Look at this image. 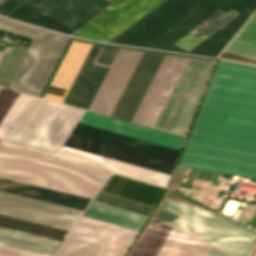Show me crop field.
<instances>
[{
  "mask_svg": "<svg viewBox=\"0 0 256 256\" xmlns=\"http://www.w3.org/2000/svg\"><path fill=\"white\" fill-rule=\"evenodd\" d=\"M71 134L100 141L145 155L153 156L170 162H176L179 150L123 136L87 125L79 124L74 127ZM69 134L64 146L72 147L82 151L90 152L100 156L108 157L118 161L126 162L136 166L144 167L154 171L171 174L174 163L145 156L100 142L92 141L82 137Z\"/></svg>",
  "mask_w": 256,
  "mask_h": 256,
  "instance_id": "6",
  "label": "crop field"
},
{
  "mask_svg": "<svg viewBox=\"0 0 256 256\" xmlns=\"http://www.w3.org/2000/svg\"><path fill=\"white\" fill-rule=\"evenodd\" d=\"M33 96L0 88V138L6 140Z\"/></svg>",
  "mask_w": 256,
  "mask_h": 256,
  "instance_id": "17",
  "label": "crop field"
},
{
  "mask_svg": "<svg viewBox=\"0 0 256 256\" xmlns=\"http://www.w3.org/2000/svg\"><path fill=\"white\" fill-rule=\"evenodd\" d=\"M55 256H124V253L67 237Z\"/></svg>",
  "mask_w": 256,
  "mask_h": 256,
  "instance_id": "20",
  "label": "crop field"
},
{
  "mask_svg": "<svg viewBox=\"0 0 256 256\" xmlns=\"http://www.w3.org/2000/svg\"><path fill=\"white\" fill-rule=\"evenodd\" d=\"M3 54H4V53L0 52V60H1L2 56H3Z\"/></svg>",
  "mask_w": 256,
  "mask_h": 256,
  "instance_id": "23",
  "label": "crop field"
},
{
  "mask_svg": "<svg viewBox=\"0 0 256 256\" xmlns=\"http://www.w3.org/2000/svg\"><path fill=\"white\" fill-rule=\"evenodd\" d=\"M57 155L73 158L77 161L100 167L110 172L126 175L155 185L166 187L169 175L89 154L62 146Z\"/></svg>",
  "mask_w": 256,
  "mask_h": 256,
  "instance_id": "14",
  "label": "crop field"
},
{
  "mask_svg": "<svg viewBox=\"0 0 256 256\" xmlns=\"http://www.w3.org/2000/svg\"><path fill=\"white\" fill-rule=\"evenodd\" d=\"M138 231L81 216L69 237L126 253Z\"/></svg>",
  "mask_w": 256,
  "mask_h": 256,
  "instance_id": "12",
  "label": "crop field"
},
{
  "mask_svg": "<svg viewBox=\"0 0 256 256\" xmlns=\"http://www.w3.org/2000/svg\"><path fill=\"white\" fill-rule=\"evenodd\" d=\"M108 172L2 142L0 177L93 198ZM81 196V197H82Z\"/></svg>",
  "mask_w": 256,
  "mask_h": 256,
  "instance_id": "4",
  "label": "crop field"
},
{
  "mask_svg": "<svg viewBox=\"0 0 256 256\" xmlns=\"http://www.w3.org/2000/svg\"><path fill=\"white\" fill-rule=\"evenodd\" d=\"M82 113L34 97L7 140L56 154Z\"/></svg>",
  "mask_w": 256,
  "mask_h": 256,
  "instance_id": "7",
  "label": "crop field"
},
{
  "mask_svg": "<svg viewBox=\"0 0 256 256\" xmlns=\"http://www.w3.org/2000/svg\"><path fill=\"white\" fill-rule=\"evenodd\" d=\"M106 186L104 187L103 192ZM163 191L164 188L114 174L105 193L154 207Z\"/></svg>",
  "mask_w": 256,
  "mask_h": 256,
  "instance_id": "16",
  "label": "crop field"
},
{
  "mask_svg": "<svg viewBox=\"0 0 256 256\" xmlns=\"http://www.w3.org/2000/svg\"><path fill=\"white\" fill-rule=\"evenodd\" d=\"M120 49L93 45L64 103L89 110ZM141 52L121 49L90 110L109 115ZM163 55L142 52L110 116L130 121Z\"/></svg>",
  "mask_w": 256,
  "mask_h": 256,
  "instance_id": "3",
  "label": "crop field"
},
{
  "mask_svg": "<svg viewBox=\"0 0 256 256\" xmlns=\"http://www.w3.org/2000/svg\"><path fill=\"white\" fill-rule=\"evenodd\" d=\"M0 191L84 210L90 198L0 178Z\"/></svg>",
  "mask_w": 256,
  "mask_h": 256,
  "instance_id": "15",
  "label": "crop field"
},
{
  "mask_svg": "<svg viewBox=\"0 0 256 256\" xmlns=\"http://www.w3.org/2000/svg\"><path fill=\"white\" fill-rule=\"evenodd\" d=\"M187 58L165 55L131 122L143 125L152 106L162 108ZM152 107L144 125L152 127L160 109Z\"/></svg>",
  "mask_w": 256,
  "mask_h": 256,
  "instance_id": "11",
  "label": "crop field"
},
{
  "mask_svg": "<svg viewBox=\"0 0 256 256\" xmlns=\"http://www.w3.org/2000/svg\"><path fill=\"white\" fill-rule=\"evenodd\" d=\"M0 0V14L71 34L115 0ZM161 0H117L73 35L107 41ZM233 0H162L109 41L171 50ZM256 0H234L229 5L245 11ZM225 7L174 51L193 54L242 12ZM256 9V3L194 54L216 57Z\"/></svg>",
  "mask_w": 256,
  "mask_h": 256,
  "instance_id": "1",
  "label": "crop field"
},
{
  "mask_svg": "<svg viewBox=\"0 0 256 256\" xmlns=\"http://www.w3.org/2000/svg\"><path fill=\"white\" fill-rule=\"evenodd\" d=\"M225 51L256 60V18L247 21Z\"/></svg>",
  "mask_w": 256,
  "mask_h": 256,
  "instance_id": "19",
  "label": "crop field"
},
{
  "mask_svg": "<svg viewBox=\"0 0 256 256\" xmlns=\"http://www.w3.org/2000/svg\"><path fill=\"white\" fill-rule=\"evenodd\" d=\"M253 17H256V11L254 12V14L252 15Z\"/></svg>",
  "mask_w": 256,
  "mask_h": 256,
  "instance_id": "24",
  "label": "crop field"
},
{
  "mask_svg": "<svg viewBox=\"0 0 256 256\" xmlns=\"http://www.w3.org/2000/svg\"><path fill=\"white\" fill-rule=\"evenodd\" d=\"M0 30L33 39L9 88L38 96L68 36L1 17Z\"/></svg>",
  "mask_w": 256,
  "mask_h": 256,
  "instance_id": "9",
  "label": "crop field"
},
{
  "mask_svg": "<svg viewBox=\"0 0 256 256\" xmlns=\"http://www.w3.org/2000/svg\"><path fill=\"white\" fill-rule=\"evenodd\" d=\"M156 217L236 256H247L256 239L255 232L201 206L168 197Z\"/></svg>",
  "mask_w": 256,
  "mask_h": 256,
  "instance_id": "5",
  "label": "crop field"
},
{
  "mask_svg": "<svg viewBox=\"0 0 256 256\" xmlns=\"http://www.w3.org/2000/svg\"><path fill=\"white\" fill-rule=\"evenodd\" d=\"M82 211L0 192V226L63 241Z\"/></svg>",
  "mask_w": 256,
  "mask_h": 256,
  "instance_id": "8",
  "label": "crop field"
},
{
  "mask_svg": "<svg viewBox=\"0 0 256 256\" xmlns=\"http://www.w3.org/2000/svg\"><path fill=\"white\" fill-rule=\"evenodd\" d=\"M212 246L155 218L129 256H208ZM209 256H232L213 247Z\"/></svg>",
  "mask_w": 256,
  "mask_h": 256,
  "instance_id": "10",
  "label": "crop field"
},
{
  "mask_svg": "<svg viewBox=\"0 0 256 256\" xmlns=\"http://www.w3.org/2000/svg\"><path fill=\"white\" fill-rule=\"evenodd\" d=\"M179 165L256 179V67L218 61Z\"/></svg>",
  "mask_w": 256,
  "mask_h": 256,
  "instance_id": "2",
  "label": "crop field"
},
{
  "mask_svg": "<svg viewBox=\"0 0 256 256\" xmlns=\"http://www.w3.org/2000/svg\"><path fill=\"white\" fill-rule=\"evenodd\" d=\"M94 202V201H93ZM91 202L83 216L140 231L147 217Z\"/></svg>",
  "mask_w": 256,
  "mask_h": 256,
  "instance_id": "18",
  "label": "crop field"
},
{
  "mask_svg": "<svg viewBox=\"0 0 256 256\" xmlns=\"http://www.w3.org/2000/svg\"><path fill=\"white\" fill-rule=\"evenodd\" d=\"M79 123L135 137L160 145L175 149H181L184 138L95 113L87 112L83 114Z\"/></svg>",
  "mask_w": 256,
  "mask_h": 256,
  "instance_id": "13",
  "label": "crop field"
},
{
  "mask_svg": "<svg viewBox=\"0 0 256 256\" xmlns=\"http://www.w3.org/2000/svg\"><path fill=\"white\" fill-rule=\"evenodd\" d=\"M0 256H41L0 246Z\"/></svg>",
  "mask_w": 256,
  "mask_h": 256,
  "instance_id": "22",
  "label": "crop field"
},
{
  "mask_svg": "<svg viewBox=\"0 0 256 256\" xmlns=\"http://www.w3.org/2000/svg\"><path fill=\"white\" fill-rule=\"evenodd\" d=\"M10 50V48L5 47L2 51L9 53ZM25 52L12 49L10 54H4L0 62V86L9 87Z\"/></svg>",
  "mask_w": 256,
  "mask_h": 256,
  "instance_id": "21",
  "label": "crop field"
}]
</instances>
